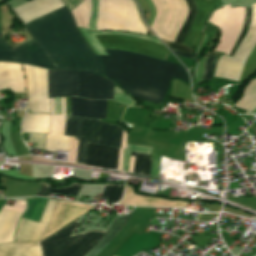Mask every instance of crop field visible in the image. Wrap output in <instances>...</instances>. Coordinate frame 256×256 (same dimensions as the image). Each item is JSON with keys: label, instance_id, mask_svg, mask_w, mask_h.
Listing matches in <instances>:
<instances>
[{"label": "crop field", "instance_id": "9", "mask_svg": "<svg viewBox=\"0 0 256 256\" xmlns=\"http://www.w3.org/2000/svg\"><path fill=\"white\" fill-rule=\"evenodd\" d=\"M119 149L88 142L85 164L117 169Z\"/></svg>", "mask_w": 256, "mask_h": 256}, {"label": "crop field", "instance_id": "3", "mask_svg": "<svg viewBox=\"0 0 256 256\" xmlns=\"http://www.w3.org/2000/svg\"><path fill=\"white\" fill-rule=\"evenodd\" d=\"M56 200H48L40 223L20 218L15 243L0 245V256H83L103 236L94 229L72 235L80 222L74 220L46 239L39 240L54 211Z\"/></svg>", "mask_w": 256, "mask_h": 256}, {"label": "crop field", "instance_id": "33", "mask_svg": "<svg viewBox=\"0 0 256 256\" xmlns=\"http://www.w3.org/2000/svg\"><path fill=\"white\" fill-rule=\"evenodd\" d=\"M55 114H61V100H60V97L55 98Z\"/></svg>", "mask_w": 256, "mask_h": 256}, {"label": "crop field", "instance_id": "32", "mask_svg": "<svg viewBox=\"0 0 256 256\" xmlns=\"http://www.w3.org/2000/svg\"><path fill=\"white\" fill-rule=\"evenodd\" d=\"M170 50H171V49H170ZM171 51H172L175 55L187 57V58H190V59H193V60H194V55H192V54L184 53V52L177 51V50H171Z\"/></svg>", "mask_w": 256, "mask_h": 256}, {"label": "crop field", "instance_id": "27", "mask_svg": "<svg viewBox=\"0 0 256 256\" xmlns=\"http://www.w3.org/2000/svg\"><path fill=\"white\" fill-rule=\"evenodd\" d=\"M216 56H209L206 66H205V72H204V78L203 79H211V74L214 66Z\"/></svg>", "mask_w": 256, "mask_h": 256}, {"label": "crop field", "instance_id": "12", "mask_svg": "<svg viewBox=\"0 0 256 256\" xmlns=\"http://www.w3.org/2000/svg\"><path fill=\"white\" fill-rule=\"evenodd\" d=\"M7 88L12 92H24L22 72L18 63L0 62V90Z\"/></svg>", "mask_w": 256, "mask_h": 256}, {"label": "crop field", "instance_id": "20", "mask_svg": "<svg viewBox=\"0 0 256 256\" xmlns=\"http://www.w3.org/2000/svg\"><path fill=\"white\" fill-rule=\"evenodd\" d=\"M256 98V78L248 83L242 98L235 104V107H239L247 110L249 106L254 102Z\"/></svg>", "mask_w": 256, "mask_h": 256}, {"label": "crop field", "instance_id": "30", "mask_svg": "<svg viewBox=\"0 0 256 256\" xmlns=\"http://www.w3.org/2000/svg\"><path fill=\"white\" fill-rule=\"evenodd\" d=\"M123 148H126V133L123 132L122 145L119 152V166L118 169L122 170Z\"/></svg>", "mask_w": 256, "mask_h": 256}, {"label": "crop field", "instance_id": "25", "mask_svg": "<svg viewBox=\"0 0 256 256\" xmlns=\"http://www.w3.org/2000/svg\"><path fill=\"white\" fill-rule=\"evenodd\" d=\"M114 100L128 104L131 106H134V101L129 98L127 95H125L120 89L114 87Z\"/></svg>", "mask_w": 256, "mask_h": 256}, {"label": "crop field", "instance_id": "13", "mask_svg": "<svg viewBox=\"0 0 256 256\" xmlns=\"http://www.w3.org/2000/svg\"><path fill=\"white\" fill-rule=\"evenodd\" d=\"M20 214L0 210V244L12 242L14 225Z\"/></svg>", "mask_w": 256, "mask_h": 256}, {"label": "crop field", "instance_id": "8", "mask_svg": "<svg viewBox=\"0 0 256 256\" xmlns=\"http://www.w3.org/2000/svg\"><path fill=\"white\" fill-rule=\"evenodd\" d=\"M195 2L198 6V13L183 43L198 49L204 38L202 30L208 20L210 12L221 6V4L220 0H195Z\"/></svg>", "mask_w": 256, "mask_h": 256}, {"label": "crop field", "instance_id": "29", "mask_svg": "<svg viewBox=\"0 0 256 256\" xmlns=\"http://www.w3.org/2000/svg\"><path fill=\"white\" fill-rule=\"evenodd\" d=\"M159 158L160 156L153 154L151 176L157 177V178H158V171H159Z\"/></svg>", "mask_w": 256, "mask_h": 256}, {"label": "crop field", "instance_id": "5", "mask_svg": "<svg viewBox=\"0 0 256 256\" xmlns=\"http://www.w3.org/2000/svg\"><path fill=\"white\" fill-rule=\"evenodd\" d=\"M114 82L94 74L48 70V96L77 95L90 99H112Z\"/></svg>", "mask_w": 256, "mask_h": 256}, {"label": "crop field", "instance_id": "14", "mask_svg": "<svg viewBox=\"0 0 256 256\" xmlns=\"http://www.w3.org/2000/svg\"><path fill=\"white\" fill-rule=\"evenodd\" d=\"M186 3L189 8V15L179 33V35L177 36L175 43L168 41V45L174 49H178L181 51H185V52L194 54L192 49L189 46L181 45L184 37L186 36L187 32L189 31V29L193 23L194 16H195V13L197 10L194 0H186Z\"/></svg>", "mask_w": 256, "mask_h": 256}, {"label": "crop field", "instance_id": "37", "mask_svg": "<svg viewBox=\"0 0 256 256\" xmlns=\"http://www.w3.org/2000/svg\"><path fill=\"white\" fill-rule=\"evenodd\" d=\"M254 107H256V100H255V102L253 103V105L250 107V109L247 111V113L250 112ZM247 113H246V114H247Z\"/></svg>", "mask_w": 256, "mask_h": 256}, {"label": "crop field", "instance_id": "15", "mask_svg": "<svg viewBox=\"0 0 256 256\" xmlns=\"http://www.w3.org/2000/svg\"><path fill=\"white\" fill-rule=\"evenodd\" d=\"M130 214L123 217H115L105 235L85 256H96L110 242Z\"/></svg>", "mask_w": 256, "mask_h": 256}, {"label": "crop field", "instance_id": "6", "mask_svg": "<svg viewBox=\"0 0 256 256\" xmlns=\"http://www.w3.org/2000/svg\"><path fill=\"white\" fill-rule=\"evenodd\" d=\"M64 135L79 139L77 161L84 163L87 141L120 148L122 127L99 119L66 116Z\"/></svg>", "mask_w": 256, "mask_h": 256}, {"label": "crop field", "instance_id": "16", "mask_svg": "<svg viewBox=\"0 0 256 256\" xmlns=\"http://www.w3.org/2000/svg\"><path fill=\"white\" fill-rule=\"evenodd\" d=\"M28 208L22 218L40 221L48 199L45 198H26ZM37 222V223H38Z\"/></svg>", "mask_w": 256, "mask_h": 256}, {"label": "crop field", "instance_id": "21", "mask_svg": "<svg viewBox=\"0 0 256 256\" xmlns=\"http://www.w3.org/2000/svg\"><path fill=\"white\" fill-rule=\"evenodd\" d=\"M124 185L107 184L101 197L107 198V203L120 200Z\"/></svg>", "mask_w": 256, "mask_h": 256}, {"label": "crop field", "instance_id": "4", "mask_svg": "<svg viewBox=\"0 0 256 256\" xmlns=\"http://www.w3.org/2000/svg\"><path fill=\"white\" fill-rule=\"evenodd\" d=\"M25 70L28 112L50 113V101L47 96V70L23 65ZM50 115L27 114L23 119V132L46 134L44 151L55 152V149L68 151L69 137L63 136L65 120V99L62 100V115H54V99L51 98Z\"/></svg>", "mask_w": 256, "mask_h": 256}, {"label": "crop field", "instance_id": "35", "mask_svg": "<svg viewBox=\"0 0 256 256\" xmlns=\"http://www.w3.org/2000/svg\"><path fill=\"white\" fill-rule=\"evenodd\" d=\"M76 141V145H75V153H74V161L76 163V156H77V145H78V140H75Z\"/></svg>", "mask_w": 256, "mask_h": 256}, {"label": "crop field", "instance_id": "18", "mask_svg": "<svg viewBox=\"0 0 256 256\" xmlns=\"http://www.w3.org/2000/svg\"><path fill=\"white\" fill-rule=\"evenodd\" d=\"M81 185L72 182L71 185L63 187L61 189H51V187L41 182V188L35 196H47L48 193H57L62 195H74L76 196Z\"/></svg>", "mask_w": 256, "mask_h": 256}, {"label": "crop field", "instance_id": "26", "mask_svg": "<svg viewBox=\"0 0 256 256\" xmlns=\"http://www.w3.org/2000/svg\"><path fill=\"white\" fill-rule=\"evenodd\" d=\"M45 134H29V142H36V148L43 149Z\"/></svg>", "mask_w": 256, "mask_h": 256}, {"label": "crop field", "instance_id": "2", "mask_svg": "<svg viewBox=\"0 0 256 256\" xmlns=\"http://www.w3.org/2000/svg\"><path fill=\"white\" fill-rule=\"evenodd\" d=\"M96 38L104 49L130 51L161 60L167 52L161 44L127 36L105 35ZM105 51L109 56H99L106 76L135 98L161 104L172 77L188 82L185 71L177 64L135 53Z\"/></svg>", "mask_w": 256, "mask_h": 256}, {"label": "crop field", "instance_id": "10", "mask_svg": "<svg viewBox=\"0 0 256 256\" xmlns=\"http://www.w3.org/2000/svg\"><path fill=\"white\" fill-rule=\"evenodd\" d=\"M62 6L60 0H31L14 10L26 24Z\"/></svg>", "mask_w": 256, "mask_h": 256}, {"label": "crop field", "instance_id": "19", "mask_svg": "<svg viewBox=\"0 0 256 256\" xmlns=\"http://www.w3.org/2000/svg\"><path fill=\"white\" fill-rule=\"evenodd\" d=\"M135 156L133 173L140 175L150 176V163L149 155L131 152Z\"/></svg>", "mask_w": 256, "mask_h": 256}, {"label": "crop field", "instance_id": "24", "mask_svg": "<svg viewBox=\"0 0 256 256\" xmlns=\"http://www.w3.org/2000/svg\"><path fill=\"white\" fill-rule=\"evenodd\" d=\"M250 19H251V12L250 9L246 8V14H245V22H244V26L242 29V32L235 44V46L233 47V49L231 50V52L229 53L230 56H232L233 52L235 51L236 47L238 46V44L240 43L241 39L243 38V36L246 34L249 25H250Z\"/></svg>", "mask_w": 256, "mask_h": 256}, {"label": "crop field", "instance_id": "34", "mask_svg": "<svg viewBox=\"0 0 256 256\" xmlns=\"http://www.w3.org/2000/svg\"><path fill=\"white\" fill-rule=\"evenodd\" d=\"M133 160H134V157L131 156L129 170H128V172H130V173H132Z\"/></svg>", "mask_w": 256, "mask_h": 256}, {"label": "crop field", "instance_id": "23", "mask_svg": "<svg viewBox=\"0 0 256 256\" xmlns=\"http://www.w3.org/2000/svg\"><path fill=\"white\" fill-rule=\"evenodd\" d=\"M151 148L152 147L136 146V145L127 144V149H124L123 170L126 172L128 170L130 151L150 154Z\"/></svg>", "mask_w": 256, "mask_h": 256}, {"label": "crop field", "instance_id": "17", "mask_svg": "<svg viewBox=\"0 0 256 256\" xmlns=\"http://www.w3.org/2000/svg\"><path fill=\"white\" fill-rule=\"evenodd\" d=\"M83 32L85 33L86 37L88 38V40L90 41L91 45L93 46V48L96 50V52L98 54H105L104 49L102 48V46L100 45V43L97 41V39L95 38L94 35H98V34H119V35H128V36H135V37H139L142 39H146V40H150V41H154V42H158L160 43V41L158 39L155 38H149V37H145V36H141V35H137V34H131V33H122V32H90L86 29H83Z\"/></svg>", "mask_w": 256, "mask_h": 256}, {"label": "crop field", "instance_id": "31", "mask_svg": "<svg viewBox=\"0 0 256 256\" xmlns=\"http://www.w3.org/2000/svg\"><path fill=\"white\" fill-rule=\"evenodd\" d=\"M65 5L69 8L71 11L73 8H75L82 0H62Z\"/></svg>", "mask_w": 256, "mask_h": 256}, {"label": "crop field", "instance_id": "36", "mask_svg": "<svg viewBox=\"0 0 256 256\" xmlns=\"http://www.w3.org/2000/svg\"><path fill=\"white\" fill-rule=\"evenodd\" d=\"M71 143H72V137H70V146H69V157H68V162H70V156H71Z\"/></svg>", "mask_w": 256, "mask_h": 256}, {"label": "crop field", "instance_id": "11", "mask_svg": "<svg viewBox=\"0 0 256 256\" xmlns=\"http://www.w3.org/2000/svg\"><path fill=\"white\" fill-rule=\"evenodd\" d=\"M71 115L95 118L106 117V100H86L70 97Z\"/></svg>", "mask_w": 256, "mask_h": 256}, {"label": "crop field", "instance_id": "1", "mask_svg": "<svg viewBox=\"0 0 256 256\" xmlns=\"http://www.w3.org/2000/svg\"><path fill=\"white\" fill-rule=\"evenodd\" d=\"M26 26L34 40L15 49L10 50L0 35V60L105 76L99 56L89 48L65 6Z\"/></svg>", "mask_w": 256, "mask_h": 256}, {"label": "crop field", "instance_id": "28", "mask_svg": "<svg viewBox=\"0 0 256 256\" xmlns=\"http://www.w3.org/2000/svg\"><path fill=\"white\" fill-rule=\"evenodd\" d=\"M91 1H92V14L90 18L89 28L91 30H95V22H96V16H97V0H91Z\"/></svg>", "mask_w": 256, "mask_h": 256}, {"label": "crop field", "instance_id": "7", "mask_svg": "<svg viewBox=\"0 0 256 256\" xmlns=\"http://www.w3.org/2000/svg\"><path fill=\"white\" fill-rule=\"evenodd\" d=\"M156 6V17L151 29L162 39L175 41L184 23L188 8L184 0H152Z\"/></svg>", "mask_w": 256, "mask_h": 256}, {"label": "crop field", "instance_id": "38", "mask_svg": "<svg viewBox=\"0 0 256 256\" xmlns=\"http://www.w3.org/2000/svg\"><path fill=\"white\" fill-rule=\"evenodd\" d=\"M254 109H255V108H254ZM254 109H253V110H254ZM253 110H252V111H253ZM252 111H251V112H252ZM248 114H249V113H248Z\"/></svg>", "mask_w": 256, "mask_h": 256}, {"label": "crop field", "instance_id": "22", "mask_svg": "<svg viewBox=\"0 0 256 256\" xmlns=\"http://www.w3.org/2000/svg\"><path fill=\"white\" fill-rule=\"evenodd\" d=\"M255 71H256V45L253 48L248 59L246 60L238 81L243 82L246 77L253 75Z\"/></svg>", "mask_w": 256, "mask_h": 256}]
</instances>
